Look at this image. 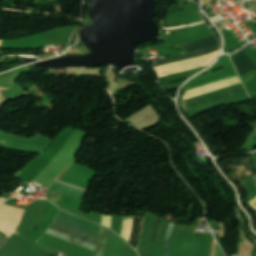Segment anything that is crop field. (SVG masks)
Masks as SVG:
<instances>
[{"mask_svg": "<svg viewBox=\"0 0 256 256\" xmlns=\"http://www.w3.org/2000/svg\"><path fill=\"white\" fill-rule=\"evenodd\" d=\"M174 226H175V224L171 222V224L169 226V229L167 231V234H166V238H165V242H164V246H163L162 256H167L168 243H169L170 236H171V233L173 231Z\"/></svg>", "mask_w": 256, "mask_h": 256, "instance_id": "crop-field-5", "label": "crop field"}, {"mask_svg": "<svg viewBox=\"0 0 256 256\" xmlns=\"http://www.w3.org/2000/svg\"><path fill=\"white\" fill-rule=\"evenodd\" d=\"M54 224L59 225V226H61V227H64V228H66V229H69V230H71V231H74V232H76V233H79V234H81V235H84V236H86V237H89V238L94 239V240L97 241L98 234H99V230L96 229V228H93V227H91V226L85 225V224H83V223H80V222L75 221V220H73V219L67 218V217L62 216V215H60V214L58 215V217H57L56 221L54 222ZM54 224H52L51 228L56 229V230H59V231H61V232H64V233H66V234L72 235V236H74V237L80 238V239H82V240H85V241H87V242H90V243H93V244L96 245V241L91 240V239H89V238H86V237H84V236H81V235H79V234H76V233H74V232H71V231H69V230H66V229H64V228H61V227H59V226H56V225H54ZM51 228H49V229L47 230V233L52 234V235H55V236H57V237H60V238H62V239H65V240H67V241L73 242V243H75V244H78V245H80V246H83V247H85V248H88V249H91V250L94 251L95 245L90 244V243H87V242L82 241V240H80V239L74 238V237H72V236L66 235V234L61 233V232H59V231L53 230V229H51Z\"/></svg>", "mask_w": 256, "mask_h": 256, "instance_id": "crop-field-1", "label": "crop field"}, {"mask_svg": "<svg viewBox=\"0 0 256 256\" xmlns=\"http://www.w3.org/2000/svg\"><path fill=\"white\" fill-rule=\"evenodd\" d=\"M121 222H122V217H119L118 219V228H117V233L120 235L121 231Z\"/></svg>", "mask_w": 256, "mask_h": 256, "instance_id": "crop-field-6", "label": "crop field"}, {"mask_svg": "<svg viewBox=\"0 0 256 256\" xmlns=\"http://www.w3.org/2000/svg\"><path fill=\"white\" fill-rule=\"evenodd\" d=\"M110 230L101 226L100 235L95 249V256H104V251L109 238Z\"/></svg>", "mask_w": 256, "mask_h": 256, "instance_id": "crop-field-3", "label": "crop field"}, {"mask_svg": "<svg viewBox=\"0 0 256 256\" xmlns=\"http://www.w3.org/2000/svg\"><path fill=\"white\" fill-rule=\"evenodd\" d=\"M56 182H58V181H56ZM56 182H54V183L52 184V186L50 187V189L56 190V191H58V192H61V193H64V194H67V195H70V196H73V197H75V198H78V199H81V200H82V198H83V196H84V194H85V192H86L85 190H82V189H79V188H76V187L71 186V187H73V188H76V189L85 191V192H82V191H79V190H76V189H73V188L68 187V186H70V185L65 186V185H67V184L62 185V184H64V183L59 184V183H61V182H59V183H56Z\"/></svg>", "mask_w": 256, "mask_h": 256, "instance_id": "crop-field-2", "label": "crop field"}, {"mask_svg": "<svg viewBox=\"0 0 256 256\" xmlns=\"http://www.w3.org/2000/svg\"><path fill=\"white\" fill-rule=\"evenodd\" d=\"M144 216L134 217V220H133V226H132L129 244H131L134 248L136 247V245L139 241Z\"/></svg>", "mask_w": 256, "mask_h": 256, "instance_id": "crop-field-4", "label": "crop field"}]
</instances>
